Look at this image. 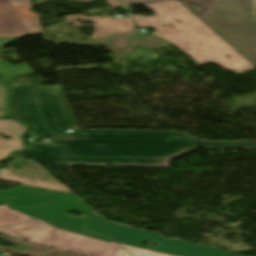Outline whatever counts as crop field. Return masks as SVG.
Wrapping results in <instances>:
<instances>
[{"mask_svg": "<svg viewBox=\"0 0 256 256\" xmlns=\"http://www.w3.org/2000/svg\"><path fill=\"white\" fill-rule=\"evenodd\" d=\"M3 204H5V203H1V202H0V205H3Z\"/></svg>", "mask_w": 256, "mask_h": 256, "instance_id": "a9b5d70f", "label": "crop field"}, {"mask_svg": "<svg viewBox=\"0 0 256 256\" xmlns=\"http://www.w3.org/2000/svg\"><path fill=\"white\" fill-rule=\"evenodd\" d=\"M9 172L7 169H0V173H7Z\"/></svg>", "mask_w": 256, "mask_h": 256, "instance_id": "00972430", "label": "crop field"}, {"mask_svg": "<svg viewBox=\"0 0 256 256\" xmlns=\"http://www.w3.org/2000/svg\"><path fill=\"white\" fill-rule=\"evenodd\" d=\"M101 17H105V20H101ZM65 20L72 24L74 28L89 26V25H80L77 20H86L92 21L95 24L89 27L95 29L91 38L93 40L111 37L115 35H122L129 33L132 29L136 27L131 23L128 17L122 19L111 18L110 16H100V17H86L84 15H67L64 16ZM114 33V34H110Z\"/></svg>", "mask_w": 256, "mask_h": 256, "instance_id": "5a996713", "label": "crop field"}, {"mask_svg": "<svg viewBox=\"0 0 256 256\" xmlns=\"http://www.w3.org/2000/svg\"><path fill=\"white\" fill-rule=\"evenodd\" d=\"M65 133L62 131V128H47V129H34L33 137H56L63 136Z\"/></svg>", "mask_w": 256, "mask_h": 256, "instance_id": "4a817a6b", "label": "crop field"}, {"mask_svg": "<svg viewBox=\"0 0 256 256\" xmlns=\"http://www.w3.org/2000/svg\"><path fill=\"white\" fill-rule=\"evenodd\" d=\"M11 87L13 117L30 123L33 128L75 125L60 85Z\"/></svg>", "mask_w": 256, "mask_h": 256, "instance_id": "f4fd0767", "label": "crop field"}, {"mask_svg": "<svg viewBox=\"0 0 256 256\" xmlns=\"http://www.w3.org/2000/svg\"><path fill=\"white\" fill-rule=\"evenodd\" d=\"M26 130L25 127L18 125L15 121L0 120V134L7 137L21 136Z\"/></svg>", "mask_w": 256, "mask_h": 256, "instance_id": "22f410ed", "label": "crop field"}, {"mask_svg": "<svg viewBox=\"0 0 256 256\" xmlns=\"http://www.w3.org/2000/svg\"><path fill=\"white\" fill-rule=\"evenodd\" d=\"M0 201L58 228L111 241L107 235L84 217L94 213L95 210L74 194L23 185L8 192H0ZM68 210H75L83 216L71 218L66 214Z\"/></svg>", "mask_w": 256, "mask_h": 256, "instance_id": "34b2d1b8", "label": "crop field"}, {"mask_svg": "<svg viewBox=\"0 0 256 256\" xmlns=\"http://www.w3.org/2000/svg\"><path fill=\"white\" fill-rule=\"evenodd\" d=\"M155 245H157V244H155Z\"/></svg>", "mask_w": 256, "mask_h": 256, "instance_id": "eef30255", "label": "crop field"}, {"mask_svg": "<svg viewBox=\"0 0 256 256\" xmlns=\"http://www.w3.org/2000/svg\"><path fill=\"white\" fill-rule=\"evenodd\" d=\"M21 37L16 38H7V39H0V46H3L11 41L17 40ZM32 72V69L28 67L25 63L18 64V65H10L8 62L0 60V76L9 84L11 85L12 82L9 77L21 75L24 73Z\"/></svg>", "mask_w": 256, "mask_h": 256, "instance_id": "28ad6ade", "label": "crop field"}, {"mask_svg": "<svg viewBox=\"0 0 256 256\" xmlns=\"http://www.w3.org/2000/svg\"><path fill=\"white\" fill-rule=\"evenodd\" d=\"M141 57L143 58L144 61L151 60V59H156L158 55H156L155 52H152V50L139 46L136 51H134L127 59H133V58H138Z\"/></svg>", "mask_w": 256, "mask_h": 256, "instance_id": "d9b57169", "label": "crop field"}, {"mask_svg": "<svg viewBox=\"0 0 256 256\" xmlns=\"http://www.w3.org/2000/svg\"><path fill=\"white\" fill-rule=\"evenodd\" d=\"M144 6L156 15L149 17L132 15L131 18L139 28L151 27L156 32L148 35L175 45L198 64L212 62L238 75L250 72V69L256 70L178 1L145 4ZM177 19L181 24L176 23ZM187 48L190 49L187 50ZM227 54L228 57H226Z\"/></svg>", "mask_w": 256, "mask_h": 256, "instance_id": "ac0d7876", "label": "crop field"}, {"mask_svg": "<svg viewBox=\"0 0 256 256\" xmlns=\"http://www.w3.org/2000/svg\"><path fill=\"white\" fill-rule=\"evenodd\" d=\"M22 149H24V145L20 138L0 139V160L6 158L12 151Z\"/></svg>", "mask_w": 256, "mask_h": 256, "instance_id": "cbeb9de0", "label": "crop field"}, {"mask_svg": "<svg viewBox=\"0 0 256 256\" xmlns=\"http://www.w3.org/2000/svg\"><path fill=\"white\" fill-rule=\"evenodd\" d=\"M164 1H172V0H123L126 6L133 4V3H153V2H164Z\"/></svg>", "mask_w": 256, "mask_h": 256, "instance_id": "214f88e0", "label": "crop field"}, {"mask_svg": "<svg viewBox=\"0 0 256 256\" xmlns=\"http://www.w3.org/2000/svg\"><path fill=\"white\" fill-rule=\"evenodd\" d=\"M86 217L113 240H118L125 243L179 256H240L218 249L182 241L180 239L168 238L160 234L110 223L107 222L98 213H94ZM141 242L159 244L153 248L142 245L140 244Z\"/></svg>", "mask_w": 256, "mask_h": 256, "instance_id": "e52e79f7", "label": "crop field"}, {"mask_svg": "<svg viewBox=\"0 0 256 256\" xmlns=\"http://www.w3.org/2000/svg\"><path fill=\"white\" fill-rule=\"evenodd\" d=\"M128 8H129V11L132 12L131 9H130V7H128Z\"/></svg>", "mask_w": 256, "mask_h": 256, "instance_id": "4177f3b9", "label": "crop field"}, {"mask_svg": "<svg viewBox=\"0 0 256 256\" xmlns=\"http://www.w3.org/2000/svg\"><path fill=\"white\" fill-rule=\"evenodd\" d=\"M29 0H0V38L43 33Z\"/></svg>", "mask_w": 256, "mask_h": 256, "instance_id": "d8731c3e", "label": "crop field"}, {"mask_svg": "<svg viewBox=\"0 0 256 256\" xmlns=\"http://www.w3.org/2000/svg\"><path fill=\"white\" fill-rule=\"evenodd\" d=\"M33 219L21 213L9 210L6 205L0 206V226Z\"/></svg>", "mask_w": 256, "mask_h": 256, "instance_id": "d1516ede", "label": "crop field"}, {"mask_svg": "<svg viewBox=\"0 0 256 256\" xmlns=\"http://www.w3.org/2000/svg\"><path fill=\"white\" fill-rule=\"evenodd\" d=\"M8 93L7 86L3 82H0V119L8 114Z\"/></svg>", "mask_w": 256, "mask_h": 256, "instance_id": "5142ce71", "label": "crop field"}, {"mask_svg": "<svg viewBox=\"0 0 256 256\" xmlns=\"http://www.w3.org/2000/svg\"><path fill=\"white\" fill-rule=\"evenodd\" d=\"M78 1L86 2L91 0H78ZM106 1L111 8L123 6L119 0H113L114 2H111V0H106Z\"/></svg>", "mask_w": 256, "mask_h": 256, "instance_id": "92a150f3", "label": "crop field"}, {"mask_svg": "<svg viewBox=\"0 0 256 256\" xmlns=\"http://www.w3.org/2000/svg\"><path fill=\"white\" fill-rule=\"evenodd\" d=\"M0 233L82 256H101L108 242L56 229L40 220L0 228Z\"/></svg>", "mask_w": 256, "mask_h": 256, "instance_id": "dd49c442", "label": "crop field"}, {"mask_svg": "<svg viewBox=\"0 0 256 256\" xmlns=\"http://www.w3.org/2000/svg\"><path fill=\"white\" fill-rule=\"evenodd\" d=\"M10 156H12V157H14V158H24V157H22L21 155H20V153H13L12 155H10Z\"/></svg>", "mask_w": 256, "mask_h": 256, "instance_id": "dafd665d", "label": "crop field"}, {"mask_svg": "<svg viewBox=\"0 0 256 256\" xmlns=\"http://www.w3.org/2000/svg\"><path fill=\"white\" fill-rule=\"evenodd\" d=\"M0 180L22 183V184H27V185H32V186L72 193L63 184L48 182V181H43V180H37V179H32V178H26V177H20V176L14 175L12 173L0 174Z\"/></svg>", "mask_w": 256, "mask_h": 256, "instance_id": "3316defc", "label": "crop field"}, {"mask_svg": "<svg viewBox=\"0 0 256 256\" xmlns=\"http://www.w3.org/2000/svg\"><path fill=\"white\" fill-rule=\"evenodd\" d=\"M102 256H131L116 242H109Z\"/></svg>", "mask_w": 256, "mask_h": 256, "instance_id": "733c2abd", "label": "crop field"}, {"mask_svg": "<svg viewBox=\"0 0 256 256\" xmlns=\"http://www.w3.org/2000/svg\"><path fill=\"white\" fill-rule=\"evenodd\" d=\"M256 149V140L199 141L173 131L80 130L53 145L21 152L39 164L168 167L169 160L196 147Z\"/></svg>", "mask_w": 256, "mask_h": 256, "instance_id": "8a807250", "label": "crop field"}, {"mask_svg": "<svg viewBox=\"0 0 256 256\" xmlns=\"http://www.w3.org/2000/svg\"><path fill=\"white\" fill-rule=\"evenodd\" d=\"M70 134V133H69ZM69 134H67V135H69ZM67 135H65V136H67Z\"/></svg>", "mask_w": 256, "mask_h": 256, "instance_id": "730fd06b", "label": "crop field"}, {"mask_svg": "<svg viewBox=\"0 0 256 256\" xmlns=\"http://www.w3.org/2000/svg\"><path fill=\"white\" fill-rule=\"evenodd\" d=\"M256 66L253 0H178Z\"/></svg>", "mask_w": 256, "mask_h": 256, "instance_id": "412701ff", "label": "crop field"}, {"mask_svg": "<svg viewBox=\"0 0 256 256\" xmlns=\"http://www.w3.org/2000/svg\"><path fill=\"white\" fill-rule=\"evenodd\" d=\"M119 244L126 251H128L132 256H169V255H164V254H160V253H155V252L142 250V249L135 248V247L128 246V245H125V244H121V243H119Z\"/></svg>", "mask_w": 256, "mask_h": 256, "instance_id": "bc2a9ffb", "label": "crop field"}]
</instances>
